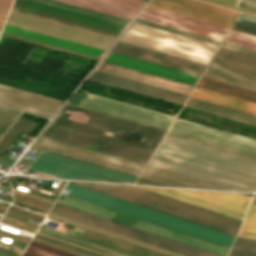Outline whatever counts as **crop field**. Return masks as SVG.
Instances as JSON below:
<instances>
[{
  "instance_id": "1",
  "label": "crop field",
  "mask_w": 256,
  "mask_h": 256,
  "mask_svg": "<svg viewBox=\"0 0 256 256\" xmlns=\"http://www.w3.org/2000/svg\"><path fill=\"white\" fill-rule=\"evenodd\" d=\"M52 122L119 140L127 131L143 135L142 147L155 150L166 131L66 104ZM50 123L41 136L144 163L153 150ZM39 136L31 148L139 176L144 164Z\"/></svg>"
},
{
  "instance_id": "2",
  "label": "crop field",
  "mask_w": 256,
  "mask_h": 256,
  "mask_svg": "<svg viewBox=\"0 0 256 256\" xmlns=\"http://www.w3.org/2000/svg\"><path fill=\"white\" fill-rule=\"evenodd\" d=\"M148 165L242 191L256 188V162L167 137Z\"/></svg>"
},
{
  "instance_id": "3",
  "label": "crop field",
  "mask_w": 256,
  "mask_h": 256,
  "mask_svg": "<svg viewBox=\"0 0 256 256\" xmlns=\"http://www.w3.org/2000/svg\"><path fill=\"white\" fill-rule=\"evenodd\" d=\"M119 41L134 44L205 65L208 64L209 60L212 58L213 54L218 48V45L135 22L122 35ZM119 41H117V43L111 49V52L130 56L199 76H201L204 69L206 68L205 65L190 62Z\"/></svg>"
},
{
  "instance_id": "4",
  "label": "crop field",
  "mask_w": 256,
  "mask_h": 256,
  "mask_svg": "<svg viewBox=\"0 0 256 256\" xmlns=\"http://www.w3.org/2000/svg\"><path fill=\"white\" fill-rule=\"evenodd\" d=\"M218 231L236 235L241 220L189 204L141 187L70 182Z\"/></svg>"
},
{
  "instance_id": "5",
  "label": "crop field",
  "mask_w": 256,
  "mask_h": 256,
  "mask_svg": "<svg viewBox=\"0 0 256 256\" xmlns=\"http://www.w3.org/2000/svg\"><path fill=\"white\" fill-rule=\"evenodd\" d=\"M68 195L207 241L231 247L234 236L68 183Z\"/></svg>"
},
{
  "instance_id": "6",
  "label": "crop field",
  "mask_w": 256,
  "mask_h": 256,
  "mask_svg": "<svg viewBox=\"0 0 256 256\" xmlns=\"http://www.w3.org/2000/svg\"><path fill=\"white\" fill-rule=\"evenodd\" d=\"M7 24L107 50L118 35L11 8Z\"/></svg>"
},
{
  "instance_id": "7",
  "label": "crop field",
  "mask_w": 256,
  "mask_h": 256,
  "mask_svg": "<svg viewBox=\"0 0 256 256\" xmlns=\"http://www.w3.org/2000/svg\"><path fill=\"white\" fill-rule=\"evenodd\" d=\"M27 169L66 179L88 181L100 180L123 183H134L137 179V177L129 176L42 151H40L35 159L27 166Z\"/></svg>"
},
{
  "instance_id": "8",
  "label": "crop field",
  "mask_w": 256,
  "mask_h": 256,
  "mask_svg": "<svg viewBox=\"0 0 256 256\" xmlns=\"http://www.w3.org/2000/svg\"><path fill=\"white\" fill-rule=\"evenodd\" d=\"M57 203L73 207L97 216H101L125 225H129L153 234H157L181 243H185L209 252H213L222 256H227L229 252V248L213 244L183 233H179L149 222H145L118 212H114L84 201H80L71 197H68L66 195L61 194L59 199L57 200Z\"/></svg>"
},
{
  "instance_id": "9",
  "label": "crop field",
  "mask_w": 256,
  "mask_h": 256,
  "mask_svg": "<svg viewBox=\"0 0 256 256\" xmlns=\"http://www.w3.org/2000/svg\"><path fill=\"white\" fill-rule=\"evenodd\" d=\"M51 212L73 218L112 232H116L155 246H159L186 256H219L185 244H181L157 235H153L129 226H125L101 217H97L73 208L55 203Z\"/></svg>"
},
{
  "instance_id": "10",
  "label": "crop field",
  "mask_w": 256,
  "mask_h": 256,
  "mask_svg": "<svg viewBox=\"0 0 256 256\" xmlns=\"http://www.w3.org/2000/svg\"><path fill=\"white\" fill-rule=\"evenodd\" d=\"M28 1H32V0H28ZM28 1L15 0L13 6L18 7V8H22V9H25V10L33 11V12H36V13L48 15V16H51V17L59 18V19H62V20L70 21V22H73V23L81 24V25H84V26L96 28V29H99V30L107 31V32H110V33L118 34V35H120V33L125 29L126 25H128L129 22H130V20L118 18V17H115V16L99 13V12H96V11L84 9V8H81V7L69 5V4L54 1V0H36V1L44 2V3H47V4L55 5V6H58V7L70 9V10H73V11L85 13V14H88V15L100 17V18H103V19L111 20V21L126 24V25L114 23V22H111V21H107V20L96 18V17L88 16V15H85V14H81V13L73 12V11H70V10L58 8V7H55V6L43 4V3H40V2L32 1V2L43 4V5L51 6V7H54V8L62 9V10H65V11L77 13V14L84 15V16H88V17H91V18L99 19V20H102V21H106V22L117 24V25L125 26V27H121V26H117V25H114V24L102 22V21H99V20L91 19V18H88V17L80 16V15H77V14L65 12V11H62V10L54 9V8H51V7L43 6V5H40V4L28 2Z\"/></svg>"
},
{
  "instance_id": "11",
  "label": "crop field",
  "mask_w": 256,
  "mask_h": 256,
  "mask_svg": "<svg viewBox=\"0 0 256 256\" xmlns=\"http://www.w3.org/2000/svg\"><path fill=\"white\" fill-rule=\"evenodd\" d=\"M186 202H190L238 219H243L245 211L250 203L252 196L221 193V192H208V191H195V190H182L170 188H151L144 187Z\"/></svg>"
},
{
  "instance_id": "12",
  "label": "crop field",
  "mask_w": 256,
  "mask_h": 256,
  "mask_svg": "<svg viewBox=\"0 0 256 256\" xmlns=\"http://www.w3.org/2000/svg\"><path fill=\"white\" fill-rule=\"evenodd\" d=\"M68 104L167 130L173 117L76 91ZM175 119V118H174Z\"/></svg>"
},
{
  "instance_id": "13",
  "label": "crop field",
  "mask_w": 256,
  "mask_h": 256,
  "mask_svg": "<svg viewBox=\"0 0 256 256\" xmlns=\"http://www.w3.org/2000/svg\"><path fill=\"white\" fill-rule=\"evenodd\" d=\"M149 6L231 28L238 12L195 0H152Z\"/></svg>"
},
{
  "instance_id": "14",
  "label": "crop field",
  "mask_w": 256,
  "mask_h": 256,
  "mask_svg": "<svg viewBox=\"0 0 256 256\" xmlns=\"http://www.w3.org/2000/svg\"><path fill=\"white\" fill-rule=\"evenodd\" d=\"M139 18L223 41L229 28L147 6Z\"/></svg>"
},
{
  "instance_id": "15",
  "label": "crop field",
  "mask_w": 256,
  "mask_h": 256,
  "mask_svg": "<svg viewBox=\"0 0 256 256\" xmlns=\"http://www.w3.org/2000/svg\"><path fill=\"white\" fill-rule=\"evenodd\" d=\"M170 132L256 154L255 140L225 133L186 121L176 119L170 129Z\"/></svg>"
},
{
  "instance_id": "16",
  "label": "crop field",
  "mask_w": 256,
  "mask_h": 256,
  "mask_svg": "<svg viewBox=\"0 0 256 256\" xmlns=\"http://www.w3.org/2000/svg\"><path fill=\"white\" fill-rule=\"evenodd\" d=\"M95 71L189 96L193 86L101 61Z\"/></svg>"
},
{
  "instance_id": "17",
  "label": "crop field",
  "mask_w": 256,
  "mask_h": 256,
  "mask_svg": "<svg viewBox=\"0 0 256 256\" xmlns=\"http://www.w3.org/2000/svg\"><path fill=\"white\" fill-rule=\"evenodd\" d=\"M210 68L256 80V56L221 46Z\"/></svg>"
},
{
  "instance_id": "18",
  "label": "crop field",
  "mask_w": 256,
  "mask_h": 256,
  "mask_svg": "<svg viewBox=\"0 0 256 256\" xmlns=\"http://www.w3.org/2000/svg\"><path fill=\"white\" fill-rule=\"evenodd\" d=\"M103 61L195 86L199 76L109 52Z\"/></svg>"
},
{
  "instance_id": "19",
  "label": "crop field",
  "mask_w": 256,
  "mask_h": 256,
  "mask_svg": "<svg viewBox=\"0 0 256 256\" xmlns=\"http://www.w3.org/2000/svg\"><path fill=\"white\" fill-rule=\"evenodd\" d=\"M132 20L146 1L142 0H58Z\"/></svg>"
},
{
  "instance_id": "20",
  "label": "crop field",
  "mask_w": 256,
  "mask_h": 256,
  "mask_svg": "<svg viewBox=\"0 0 256 256\" xmlns=\"http://www.w3.org/2000/svg\"><path fill=\"white\" fill-rule=\"evenodd\" d=\"M88 79L103 82L106 84H110L113 86L135 91L138 93H142L145 95H149L152 97L167 100V101L174 102L181 105H183V103L187 99V96L179 95L176 93L168 92L165 90L157 89L154 87L146 86L143 84H139L136 82L128 81L125 79L117 78L114 76L106 75V74L95 72V71H93L90 74Z\"/></svg>"
},
{
  "instance_id": "21",
  "label": "crop field",
  "mask_w": 256,
  "mask_h": 256,
  "mask_svg": "<svg viewBox=\"0 0 256 256\" xmlns=\"http://www.w3.org/2000/svg\"><path fill=\"white\" fill-rule=\"evenodd\" d=\"M141 178L149 179L152 181L160 182L163 184L171 186H181V187H195V188H209V189H222V190H233L235 189L227 188L217 184L209 183L199 179L191 178L181 174L173 173L163 169L155 168L146 165Z\"/></svg>"
},
{
  "instance_id": "22",
  "label": "crop field",
  "mask_w": 256,
  "mask_h": 256,
  "mask_svg": "<svg viewBox=\"0 0 256 256\" xmlns=\"http://www.w3.org/2000/svg\"><path fill=\"white\" fill-rule=\"evenodd\" d=\"M3 32L11 33L14 35L22 36L25 38L33 39L36 41L44 42L47 44L55 45L58 47L66 48L69 50L77 51L80 53L88 54V55L99 57V58H101V56L105 52V50L93 48L90 46L78 44L75 42L63 40L60 38L52 37L49 35L37 33L34 31L22 29V28L7 25V24L5 25Z\"/></svg>"
},
{
  "instance_id": "23",
  "label": "crop field",
  "mask_w": 256,
  "mask_h": 256,
  "mask_svg": "<svg viewBox=\"0 0 256 256\" xmlns=\"http://www.w3.org/2000/svg\"><path fill=\"white\" fill-rule=\"evenodd\" d=\"M0 98L56 113L63 101L0 84Z\"/></svg>"
},
{
  "instance_id": "24",
  "label": "crop field",
  "mask_w": 256,
  "mask_h": 256,
  "mask_svg": "<svg viewBox=\"0 0 256 256\" xmlns=\"http://www.w3.org/2000/svg\"><path fill=\"white\" fill-rule=\"evenodd\" d=\"M83 239L114 248L135 256H169L92 230L86 231Z\"/></svg>"
},
{
  "instance_id": "25",
  "label": "crop field",
  "mask_w": 256,
  "mask_h": 256,
  "mask_svg": "<svg viewBox=\"0 0 256 256\" xmlns=\"http://www.w3.org/2000/svg\"><path fill=\"white\" fill-rule=\"evenodd\" d=\"M185 107L256 125V116L189 97Z\"/></svg>"
},
{
  "instance_id": "26",
  "label": "crop field",
  "mask_w": 256,
  "mask_h": 256,
  "mask_svg": "<svg viewBox=\"0 0 256 256\" xmlns=\"http://www.w3.org/2000/svg\"><path fill=\"white\" fill-rule=\"evenodd\" d=\"M190 96L256 114L255 103L215 93L205 89L195 87Z\"/></svg>"
},
{
  "instance_id": "27",
  "label": "crop field",
  "mask_w": 256,
  "mask_h": 256,
  "mask_svg": "<svg viewBox=\"0 0 256 256\" xmlns=\"http://www.w3.org/2000/svg\"><path fill=\"white\" fill-rule=\"evenodd\" d=\"M48 216H51V217H54V218H57V219H60V220H64V221H67V222H70V223H73V224H76V225H79V226H82V227H85V228H89V229H92V230H95V231H98V232H101V233H105V234H108V235H111V236L129 241V242H132V243H135V244H139V245H142V246H145V247H148V248H151V249L169 254V255L183 256V255H180V254H177V253H174V252H171V251L159 248V247H155V246H152V245H149V244H146V243H143V242H140V241H137V240H134V239L116 234V233H112V232H109V231H106V230H103V229H100V228H97V227H94V226L76 221V220H73V219H69V218H66V217L51 213V212L49 213Z\"/></svg>"
},
{
  "instance_id": "28",
  "label": "crop field",
  "mask_w": 256,
  "mask_h": 256,
  "mask_svg": "<svg viewBox=\"0 0 256 256\" xmlns=\"http://www.w3.org/2000/svg\"><path fill=\"white\" fill-rule=\"evenodd\" d=\"M37 235H40V236L73 246V247H76V248H79V249H82V250H85L88 252H92V253H95V254H98L101 256H120V255H117V254H114V253H111V252H108V251H105V250H102V249H99V248H96L93 246H89V245H86V244H83V243H80V242L59 236V235H55V234H52V233H49V232H46V231H43L40 229L38 230Z\"/></svg>"
},
{
  "instance_id": "29",
  "label": "crop field",
  "mask_w": 256,
  "mask_h": 256,
  "mask_svg": "<svg viewBox=\"0 0 256 256\" xmlns=\"http://www.w3.org/2000/svg\"><path fill=\"white\" fill-rule=\"evenodd\" d=\"M167 137L175 138V139L182 140V141H185V142L193 143V144H196V145H200V146H203V147L211 148V149H214V150H218V151H221V152L229 153V154H232V155H236V156H239V157H243V158H247V159L256 161V155L244 153V152H241V151L233 150V149L222 147V146H218V145H215V144L207 143V142L196 140V139H193V138L181 136V135L170 133V132H168Z\"/></svg>"
},
{
  "instance_id": "30",
  "label": "crop field",
  "mask_w": 256,
  "mask_h": 256,
  "mask_svg": "<svg viewBox=\"0 0 256 256\" xmlns=\"http://www.w3.org/2000/svg\"><path fill=\"white\" fill-rule=\"evenodd\" d=\"M225 42L248 47L256 50V36L231 29Z\"/></svg>"
},
{
  "instance_id": "31",
  "label": "crop field",
  "mask_w": 256,
  "mask_h": 256,
  "mask_svg": "<svg viewBox=\"0 0 256 256\" xmlns=\"http://www.w3.org/2000/svg\"><path fill=\"white\" fill-rule=\"evenodd\" d=\"M22 256H74L30 241Z\"/></svg>"
},
{
  "instance_id": "32",
  "label": "crop field",
  "mask_w": 256,
  "mask_h": 256,
  "mask_svg": "<svg viewBox=\"0 0 256 256\" xmlns=\"http://www.w3.org/2000/svg\"><path fill=\"white\" fill-rule=\"evenodd\" d=\"M256 222V205L252 204L245 219ZM244 221L237 236L256 239V223Z\"/></svg>"
},
{
  "instance_id": "33",
  "label": "crop field",
  "mask_w": 256,
  "mask_h": 256,
  "mask_svg": "<svg viewBox=\"0 0 256 256\" xmlns=\"http://www.w3.org/2000/svg\"><path fill=\"white\" fill-rule=\"evenodd\" d=\"M135 22H139V23H142V24L150 25V26H153V27H157V28H160V29L168 30V31H171V32H175V33H178V34H182V35H185V36L193 37V38H196V39H200V40L211 42V43L218 44V45H220V43H221V41H217V40L210 39V38H207V37L199 36V35H196V34H192V33H189V32H185V31H182V30H178V29H175V28H171V27H168V26H164V25H161V24L153 23V22L146 21V20L139 19V18H137L135 20Z\"/></svg>"
},
{
  "instance_id": "34",
  "label": "crop field",
  "mask_w": 256,
  "mask_h": 256,
  "mask_svg": "<svg viewBox=\"0 0 256 256\" xmlns=\"http://www.w3.org/2000/svg\"><path fill=\"white\" fill-rule=\"evenodd\" d=\"M233 29L256 35V17L242 13Z\"/></svg>"
},
{
  "instance_id": "35",
  "label": "crop field",
  "mask_w": 256,
  "mask_h": 256,
  "mask_svg": "<svg viewBox=\"0 0 256 256\" xmlns=\"http://www.w3.org/2000/svg\"><path fill=\"white\" fill-rule=\"evenodd\" d=\"M32 241H35V242H38V243H41V244H44V245H47V246L65 251V252H68V253H71V254H74V255H78V256H95V255H92V254H89V253H86V252H83V251H79V250H76V249H73V248H70V247L52 242V241H48V240L36 237V236L33 237Z\"/></svg>"
},
{
  "instance_id": "36",
  "label": "crop field",
  "mask_w": 256,
  "mask_h": 256,
  "mask_svg": "<svg viewBox=\"0 0 256 256\" xmlns=\"http://www.w3.org/2000/svg\"><path fill=\"white\" fill-rule=\"evenodd\" d=\"M233 248L256 252V240L237 237Z\"/></svg>"
},
{
  "instance_id": "37",
  "label": "crop field",
  "mask_w": 256,
  "mask_h": 256,
  "mask_svg": "<svg viewBox=\"0 0 256 256\" xmlns=\"http://www.w3.org/2000/svg\"><path fill=\"white\" fill-rule=\"evenodd\" d=\"M0 104L10 106V107H14V108H18V109H22V110H26V111L37 113V114H41V115H45V116H49V117H52V115H53V113H50V112H46V111H43V110L35 109V108H32V107L24 106V105H21V104L13 103V102L2 100V99H0Z\"/></svg>"
},
{
  "instance_id": "38",
  "label": "crop field",
  "mask_w": 256,
  "mask_h": 256,
  "mask_svg": "<svg viewBox=\"0 0 256 256\" xmlns=\"http://www.w3.org/2000/svg\"><path fill=\"white\" fill-rule=\"evenodd\" d=\"M8 212H11L20 216H24L39 222H41L44 218L43 215L33 213V212H30L21 208L13 207V206H10V208L8 209Z\"/></svg>"
},
{
  "instance_id": "39",
  "label": "crop field",
  "mask_w": 256,
  "mask_h": 256,
  "mask_svg": "<svg viewBox=\"0 0 256 256\" xmlns=\"http://www.w3.org/2000/svg\"><path fill=\"white\" fill-rule=\"evenodd\" d=\"M40 229H43V230H46V231H49V232H52V233H55V234H59V235H62V236H65V237H68V238L86 243V244H89V245H93V246H96V247H99V248H102V249H105V250H108V251H111V252H114V253H117V254H120V255H123V256H131V255H128V254H125V253H122V252H119V251H116V250H113V249H110V248H107V247H103V246H100V245H97V244H94V243H91V242H88V241H85V240L67 235V234H64V233H60V232H57V231H54V230H51V229H48V228H45V227H42V226H40Z\"/></svg>"
},
{
  "instance_id": "40",
  "label": "crop field",
  "mask_w": 256,
  "mask_h": 256,
  "mask_svg": "<svg viewBox=\"0 0 256 256\" xmlns=\"http://www.w3.org/2000/svg\"><path fill=\"white\" fill-rule=\"evenodd\" d=\"M229 256H256V253L232 249Z\"/></svg>"
},
{
  "instance_id": "41",
  "label": "crop field",
  "mask_w": 256,
  "mask_h": 256,
  "mask_svg": "<svg viewBox=\"0 0 256 256\" xmlns=\"http://www.w3.org/2000/svg\"><path fill=\"white\" fill-rule=\"evenodd\" d=\"M12 0H0V12L8 13Z\"/></svg>"
},
{
  "instance_id": "42",
  "label": "crop field",
  "mask_w": 256,
  "mask_h": 256,
  "mask_svg": "<svg viewBox=\"0 0 256 256\" xmlns=\"http://www.w3.org/2000/svg\"><path fill=\"white\" fill-rule=\"evenodd\" d=\"M223 46H227V47H230V48H234V49H237V50L245 51V52L252 53V54L256 55L255 50H251V49H248V48L236 46V45L225 43V42L223 43Z\"/></svg>"
},
{
  "instance_id": "43",
  "label": "crop field",
  "mask_w": 256,
  "mask_h": 256,
  "mask_svg": "<svg viewBox=\"0 0 256 256\" xmlns=\"http://www.w3.org/2000/svg\"><path fill=\"white\" fill-rule=\"evenodd\" d=\"M203 1L214 3V4H217V5L225 6V7H228V8H232V9H236V10H239V11H243V12H246V13H250V14L256 15V13H254V12H250V11H246V10H243V9L235 8V7H232V6L224 5V4H221V3L214 2V1H210V0H203Z\"/></svg>"
},
{
  "instance_id": "44",
  "label": "crop field",
  "mask_w": 256,
  "mask_h": 256,
  "mask_svg": "<svg viewBox=\"0 0 256 256\" xmlns=\"http://www.w3.org/2000/svg\"><path fill=\"white\" fill-rule=\"evenodd\" d=\"M0 236H4V237H7V238H10V239H13V240L28 243V240H25V239H22V238H19V237H16V236H12V235H9V234L3 233V232H0Z\"/></svg>"
},
{
  "instance_id": "45",
  "label": "crop field",
  "mask_w": 256,
  "mask_h": 256,
  "mask_svg": "<svg viewBox=\"0 0 256 256\" xmlns=\"http://www.w3.org/2000/svg\"><path fill=\"white\" fill-rule=\"evenodd\" d=\"M6 16H7L6 14L0 13V29H1L2 25H3V22H4L5 18H6Z\"/></svg>"
},
{
  "instance_id": "46",
  "label": "crop field",
  "mask_w": 256,
  "mask_h": 256,
  "mask_svg": "<svg viewBox=\"0 0 256 256\" xmlns=\"http://www.w3.org/2000/svg\"><path fill=\"white\" fill-rule=\"evenodd\" d=\"M215 1H218V2H222V3H225V4L231 5V3H232L234 0H215Z\"/></svg>"
},
{
  "instance_id": "47",
  "label": "crop field",
  "mask_w": 256,
  "mask_h": 256,
  "mask_svg": "<svg viewBox=\"0 0 256 256\" xmlns=\"http://www.w3.org/2000/svg\"><path fill=\"white\" fill-rule=\"evenodd\" d=\"M0 231L6 232V233H10V232H7V231L1 230V229H0ZM10 234H13V235H16V236H19V237L23 238V236H20V235L14 234V233H10Z\"/></svg>"
},
{
  "instance_id": "48",
  "label": "crop field",
  "mask_w": 256,
  "mask_h": 256,
  "mask_svg": "<svg viewBox=\"0 0 256 256\" xmlns=\"http://www.w3.org/2000/svg\"><path fill=\"white\" fill-rule=\"evenodd\" d=\"M254 198H256V196H255ZM253 202H255V203H256V199H254V200H253Z\"/></svg>"
},
{
  "instance_id": "49",
  "label": "crop field",
  "mask_w": 256,
  "mask_h": 256,
  "mask_svg": "<svg viewBox=\"0 0 256 256\" xmlns=\"http://www.w3.org/2000/svg\"><path fill=\"white\" fill-rule=\"evenodd\" d=\"M0 256H4V255H1V254H0Z\"/></svg>"
},
{
  "instance_id": "50",
  "label": "crop field",
  "mask_w": 256,
  "mask_h": 256,
  "mask_svg": "<svg viewBox=\"0 0 256 256\" xmlns=\"http://www.w3.org/2000/svg\"><path fill=\"white\" fill-rule=\"evenodd\" d=\"M146 1H148V0H146Z\"/></svg>"
}]
</instances>
